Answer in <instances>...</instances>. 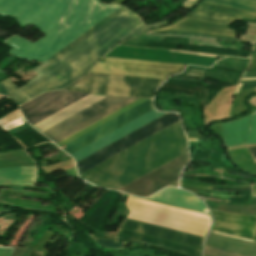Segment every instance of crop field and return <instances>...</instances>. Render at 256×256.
<instances>
[{"label":"crop field","mask_w":256,"mask_h":256,"mask_svg":"<svg viewBox=\"0 0 256 256\" xmlns=\"http://www.w3.org/2000/svg\"><path fill=\"white\" fill-rule=\"evenodd\" d=\"M179 121L79 175L101 188L117 190L187 152Z\"/></svg>","instance_id":"obj_1"},{"label":"crop field","mask_w":256,"mask_h":256,"mask_svg":"<svg viewBox=\"0 0 256 256\" xmlns=\"http://www.w3.org/2000/svg\"><path fill=\"white\" fill-rule=\"evenodd\" d=\"M164 114L157 112L155 109L146 113L145 115L137 118L136 120L126 124L125 126L117 129L116 131L108 134L107 136L99 139L98 141L88 145L87 147L72 154L74 161L77 162L84 157L92 154L93 152L103 148L104 146L112 143L113 141L121 138L122 136L130 133L131 131L141 127L142 125L150 122L151 120ZM179 120L177 114L167 113L150 123L142 126L141 128L131 132L130 134L122 137L121 139L113 142L112 144L104 147L103 149L93 153L92 155L84 158L76 163L78 174H81L88 169L96 166L97 164L105 161L106 159L114 156L115 154L123 151L124 149L134 145L135 143L143 140L144 138L152 135L153 133L161 130L162 128L170 125L171 123Z\"/></svg>","instance_id":"obj_2"},{"label":"crop field","mask_w":256,"mask_h":256,"mask_svg":"<svg viewBox=\"0 0 256 256\" xmlns=\"http://www.w3.org/2000/svg\"><path fill=\"white\" fill-rule=\"evenodd\" d=\"M123 98H125V97L109 96V97H107V98H105V99H103V100L97 102L96 104H94V105H92V106H90V107H88V108L82 110L81 112H79V113H77V114H75V115L69 117L68 119H66V120H64V121H62V122H60V123L54 125L53 127L49 128V129H47V130H45V131H43V132H41V133H42L43 135H45L47 138L51 139V138H53V137L59 135L60 133H62V132H64V131L68 130L69 128L75 126L76 124H78V123L84 121L85 119H87V118L93 116L94 114H96V113L102 111L103 109L109 107L110 105H112V104L118 102L119 100H121V99H123ZM135 100H137V99H136V98L127 97V98H125V99L119 101L118 103H116V104L110 106L109 108L103 110L102 112H100V113L94 115L93 117H91V118L85 120L84 122H82V123L76 125L75 127L69 129L68 131H66V132H64V133H62V134H60L59 136H57V137L51 139V141L56 144V143H58V142H60V141H62V140H64V139H66L67 137H69V136L75 134L76 132H78V131H80V130L86 128L87 126H89V125H91V124L97 122L98 120H100V119H102V118L108 116L109 114H111V113L117 111L118 109H120V108H122V107L128 105L129 103H131V102H133V101H135ZM144 100H146V99H139V100H137V101H135V102L129 104L128 106H126V107L120 109L119 111H117V112H115V113L109 115L108 117H106V118H104V119L98 121L97 123H95V124H93V125L87 127L86 129H84V130L78 132L77 134H75V135H73V136L67 138L66 140H64V141H62V142H60V143H58V144H56V145H58V146L60 147V146H62V145H64V144L68 143L69 141H71V140H73V139L79 137L80 135H82V134L88 132L89 130H91V129L97 127V126H99L100 124H102V123L108 121L109 119H111V118H113V117L119 115L120 113H122V112L128 110L129 108H131V107H133V106L139 104L140 102H142V101H144ZM140 104H141V103H140Z\"/></svg>","instance_id":"obj_3"},{"label":"crop field","mask_w":256,"mask_h":256,"mask_svg":"<svg viewBox=\"0 0 256 256\" xmlns=\"http://www.w3.org/2000/svg\"><path fill=\"white\" fill-rule=\"evenodd\" d=\"M236 20L256 22V14L201 4L176 24L157 31L191 32L234 38L235 30L226 26Z\"/></svg>","instance_id":"obj_4"},{"label":"crop field","mask_w":256,"mask_h":256,"mask_svg":"<svg viewBox=\"0 0 256 256\" xmlns=\"http://www.w3.org/2000/svg\"><path fill=\"white\" fill-rule=\"evenodd\" d=\"M163 82L160 79L89 73L63 90L152 98L153 91Z\"/></svg>","instance_id":"obj_5"},{"label":"crop field","mask_w":256,"mask_h":256,"mask_svg":"<svg viewBox=\"0 0 256 256\" xmlns=\"http://www.w3.org/2000/svg\"><path fill=\"white\" fill-rule=\"evenodd\" d=\"M185 65L103 57L90 72L167 79Z\"/></svg>","instance_id":"obj_6"},{"label":"crop field","mask_w":256,"mask_h":256,"mask_svg":"<svg viewBox=\"0 0 256 256\" xmlns=\"http://www.w3.org/2000/svg\"><path fill=\"white\" fill-rule=\"evenodd\" d=\"M189 160L188 153H185L167 164L157 168L147 175L137 179L119 191L135 196L146 197L168 184L178 180L180 171Z\"/></svg>","instance_id":"obj_7"},{"label":"crop field","mask_w":256,"mask_h":256,"mask_svg":"<svg viewBox=\"0 0 256 256\" xmlns=\"http://www.w3.org/2000/svg\"><path fill=\"white\" fill-rule=\"evenodd\" d=\"M86 95L88 94L54 91L40 95L19 108L32 125Z\"/></svg>","instance_id":"obj_8"},{"label":"crop field","mask_w":256,"mask_h":256,"mask_svg":"<svg viewBox=\"0 0 256 256\" xmlns=\"http://www.w3.org/2000/svg\"><path fill=\"white\" fill-rule=\"evenodd\" d=\"M152 109H154L152 107V100L148 99L133 107L132 109L124 112L123 114L115 117L114 119L106 122L105 124L99 126L98 128L90 131L89 133L81 136L80 138L74 140L73 142L67 144L66 146L68 147L63 151L70 155Z\"/></svg>","instance_id":"obj_9"},{"label":"crop field","mask_w":256,"mask_h":256,"mask_svg":"<svg viewBox=\"0 0 256 256\" xmlns=\"http://www.w3.org/2000/svg\"><path fill=\"white\" fill-rule=\"evenodd\" d=\"M90 237L99 245L107 248H112V249H124L125 242H128V243H133L140 246L144 245L145 243H148V244L175 250L186 256H200V252H201L200 250L183 246L177 243H173L170 241H166V240H162V239H158V238H154V237H150V236H146V235H142V234H138V233L122 230V229H119L113 241L96 238L92 236ZM133 244L131 247H140Z\"/></svg>","instance_id":"obj_10"},{"label":"crop field","mask_w":256,"mask_h":256,"mask_svg":"<svg viewBox=\"0 0 256 256\" xmlns=\"http://www.w3.org/2000/svg\"><path fill=\"white\" fill-rule=\"evenodd\" d=\"M215 224L213 231L254 240L256 234V216L236 215L211 211Z\"/></svg>","instance_id":"obj_11"},{"label":"crop field","mask_w":256,"mask_h":256,"mask_svg":"<svg viewBox=\"0 0 256 256\" xmlns=\"http://www.w3.org/2000/svg\"><path fill=\"white\" fill-rule=\"evenodd\" d=\"M226 146L256 143V114L222 124Z\"/></svg>","instance_id":"obj_12"},{"label":"crop field","mask_w":256,"mask_h":256,"mask_svg":"<svg viewBox=\"0 0 256 256\" xmlns=\"http://www.w3.org/2000/svg\"><path fill=\"white\" fill-rule=\"evenodd\" d=\"M122 229L202 248L204 239L124 220Z\"/></svg>","instance_id":"obj_13"},{"label":"crop field","mask_w":256,"mask_h":256,"mask_svg":"<svg viewBox=\"0 0 256 256\" xmlns=\"http://www.w3.org/2000/svg\"><path fill=\"white\" fill-rule=\"evenodd\" d=\"M148 199L210 214L200 199L181 190L165 188Z\"/></svg>","instance_id":"obj_14"},{"label":"crop field","mask_w":256,"mask_h":256,"mask_svg":"<svg viewBox=\"0 0 256 256\" xmlns=\"http://www.w3.org/2000/svg\"><path fill=\"white\" fill-rule=\"evenodd\" d=\"M216 233V232H215ZM209 232L205 245L245 255L256 256V241L251 242Z\"/></svg>","instance_id":"obj_15"},{"label":"crop field","mask_w":256,"mask_h":256,"mask_svg":"<svg viewBox=\"0 0 256 256\" xmlns=\"http://www.w3.org/2000/svg\"><path fill=\"white\" fill-rule=\"evenodd\" d=\"M105 97L107 96L90 94L32 126L41 132Z\"/></svg>","instance_id":"obj_16"},{"label":"crop field","mask_w":256,"mask_h":256,"mask_svg":"<svg viewBox=\"0 0 256 256\" xmlns=\"http://www.w3.org/2000/svg\"><path fill=\"white\" fill-rule=\"evenodd\" d=\"M35 166L0 168V184L33 185Z\"/></svg>","instance_id":"obj_17"},{"label":"crop field","mask_w":256,"mask_h":256,"mask_svg":"<svg viewBox=\"0 0 256 256\" xmlns=\"http://www.w3.org/2000/svg\"><path fill=\"white\" fill-rule=\"evenodd\" d=\"M203 3L217 6H225L228 8L251 11L256 13V4L243 0H205Z\"/></svg>","instance_id":"obj_18"},{"label":"crop field","mask_w":256,"mask_h":256,"mask_svg":"<svg viewBox=\"0 0 256 256\" xmlns=\"http://www.w3.org/2000/svg\"><path fill=\"white\" fill-rule=\"evenodd\" d=\"M203 255L205 256H245L237 253H232L220 249H215L205 246Z\"/></svg>","instance_id":"obj_19"},{"label":"crop field","mask_w":256,"mask_h":256,"mask_svg":"<svg viewBox=\"0 0 256 256\" xmlns=\"http://www.w3.org/2000/svg\"><path fill=\"white\" fill-rule=\"evenodd\" d=\"M204 71L185 70L183 74L174 77L202 80Z\"/></svg>","instance_id":"obj_20"},{"label":"crop field","mask_w":256,"mask_h":256,"mask_svg":"<svg viewBox=\"0 0 256 256\" xmlns=\"http://www.w3.org/2000/svg\"><path fill=\"white\" fill-rule=\"evenodd\" d=\"M180 185L207 189V190H210L213 187V185L211 184H203V183H195V182H187V181H181Z\"/></svg>","instance_id":"obj_21"},{"label":"crop field","mask_w":256,"mask_h":256,"mask_svg":"<svg viewBox=\"0 0 256 256\" xmlns=\"http://www.w3.org/2000/svg\"><path fill=\"white\" fill-rule=\"evenodd\" d=\"M243 82L239 91L245 90L247 88L256 87V80H249V81H240Z\"/></svg>","instance_id":"obj_22"},{"label":"crop field","mask_w":256,"mask_h":256,"mask_svg":"<svg viewBox=\"0 0 256 256\" xmlns=\"http://www.w3.org/2000/svg\"><path fill=\"white\" fill-rule=\"evenodd\" d=\"M12 250L10 248H0V256H10Z\"/></svg>","instance_id":"obj_23"},{"label":"crop field","mask_w":256,"mask_h":256,"mask_svg":"<svg viewBox=\"0 0 256 256\" xmlns=\"http://www.w3.org/2000/svg\"><path fill=\"white\" fill-rule=\"evenodd\" d=\"M247 69H255L256 70V53L252 54V60Z\"/></svg>","instance_id":"obj_24"},{"label":"crop field","mask_w":256,"mask_h":256,"mask_svg":"<svg viewBox=\"0 0 256 256\" xmlns=\"http://www.w3.org/2000/svg\"><path fill=\"white\" fill-rule=\"evenodd\" d=\"M66 173L72 177H75V178H78L77 174H76V171L75 169H69V170H66Z\"/></svg>","instance_id":"obj_25"},{"label":"crop field","mask_w":256,"mask_h":256,"mask_svg":"<svg viewBox=\"0 0 256 256\" xmlns=\"http://www.w3.org/2000/svg\"><path fill=\"white\" fill-rule=\"evenodd\" d=\"M250 153L252 154L255 162H256V147H251V148H248Z\"/></svg>","instance_id":"obj_26"},{"label":"crop field","mask_w":256,"mask_h":256,"mask_svg":"<svg viewBox=\"0 0 256 256\" xmlns=\"http://www.w3.org/2000/svg\"><path fill=\"white\" fill-rule=\"evenodd\" d=\"M43 252L31 251L29 256H41Z\"/></svg>","instance_id":"obj_27"},{"label":"crop field","mask_w":256,"mask_h":256,"mask_svg":"<svg viewBox=\"0 0 256 256\" xmlns=\"http://www.w3.org/2000/svg\"><path fill=\"white\" fill-rule=\"evenodd\" d=\"M115 235H116V233H106L105 237L113 239L115 237Z\"/></svg>","instance_id":"obj_28"},{"label":"crop field","mask_w":256,"mask_h":256,"mask_svg":"<svg viewBox=\"0 0 256 256\" xmlns=\"http://www.w3.org/2000/svg\"><path fill=\"white\" fill-rule=\"evenodd\" d=\"M130 195H128V197H129ZM128 197H127V199H128ZM127 199H126V201H127ZM126 201H125V203H126ZM125 203H124V205H125ZM125 207H126V205H125ZM127 208V207H126ZM128 209V208H127ZM128 211H129V209H128ZM130 212V211H129ZM129 214V213H128ZM128 214H127V216H128ZM127 216H126V218H127ZM210 218H211V216H210ZM211 221H212V218H211Z\"/></svg>","instance_id":"obj_29"},{"label":"crop field","mask_w":256,"mask_h":256,"mask_svg":"<svg viewBox=\"0 0 256 256\" xmlns=\"http://www.w3.org/2000/svg\"><path fill=\"white\" fill-rule=\"evenodd\" d=\"M252 51L256 52V43H255V45H254Z\"/></svg>","instance_id":"obj_30"},{"label":"crop field","mask_w":256,"mask_h":256,"mask_svg":"<svg viewBox=\"0 0 256 256\" xmlns=\"http://www.w3.org/2000/svg\"><path fill=\"white\" fill-rule=\"evenodd\" d=\"M247 1H251V2H255L256 3V0H247Z\"/></svg>","instance_id":"obj_31"}]
</instances>
